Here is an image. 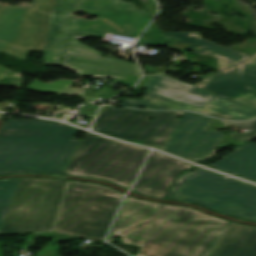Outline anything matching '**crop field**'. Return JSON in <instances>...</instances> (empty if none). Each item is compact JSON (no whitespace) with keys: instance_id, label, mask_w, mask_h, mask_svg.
Masks as SVG:
<instances>
[{"instance_id":"crop-field-4","label":"crop field","mask_w":256,"mask_h":256,"mask_svg":"<svg viewBox=\"0 0 256 256\" xmlns=\"http://www.w3.org/2000/svg\"><path fill=\"white\" fill-rule=\"evenodd\" d=\"M74 11L98 16L96 21L71 18ZM150 22L146 10L122 0H57L49 34L45 64L62 63L68 35L107 33L138 38ZM65 24V26H63Z\"/></svg>"},{"instance_id":"crop-field-21","label":"crop field","mask_w":256,"mask_h":256,"mask_svg":"<svg viewBox=\"0 0 256 256\" xmlns=\"http://www.w3.org/2000/svg\"><path fill=\"white\" fill-rule=\"evenodd\" d=\"M227 125H232V126H238V127H243L251 132L246 133V134H237V133H231L230 135L238 138L242 141H251L256 138V120L248 121L245 123H240V122H233V121H225Z\"/></svg>"},{"instance_id":"crop-field-24","label":"crop field","mask_w":256,"mask_h":256,"mask_svg":"<svg viewBox=\"0 0 256 256\" xmlns=\"http://www.w3.org/2000/svg\"><path fill=\"white\" fill-rule=\"evenodd\" d=\"M216 127L217 129H224L226 128V126L224 125L223 122L219 121V120H213L212 124L210 125V127L208 128V130H213V128Z\"/></svg>"},{"instance_id":"crop-field-25","label":"crop field","mask_w":256,"mask_h":256,"mask_svg":"<svg viewBox=\"0 0 256 256\" xmlns=\"http://www.w3.org/2000/svg\"><path fill=\"white\" fill-rule=\"evenodd\" d=\"M146 81H147V76H145L144 80L142 81V83L137 86L135 89H143V88H146ZM134 89V90H135Z\"/></svg>"},{"instance_id":"crop-field-27","label":"crop field","mask_w":256,"mask_h":256,"mask_svg":"<svg viewBox=\"0 0 256 256\" xmlns=\"http://www.w3.org/2000/svg\"><path fill=\"white\" fill-rule=\"evenodd\" d=\"M4 122H5V120L0 119V128H1V126L3 125Z\"/></svg>"},{"instance_id":"crop-field-2","label":"crop field","mask_w":256,"mask_h":256,"mask_svg":"<svg viewBox=\"0 0 256 256\" xmlns=\"http://www.w3.org/2000/svg\"><path fill=\"white\" fill-rule=\"evenodd\" d=\"M181 114L183 118L176 119ZM153 115L155 118L150 121ZM211 121L212 118L194 112L103 107L93 130L194 162L213 157L217 145L245 143L218 131H206Z\"/></svg>"},{"instance_id":"crop-field-17","label":"crop field","mask_w":256,"mask_h":256,"mask_svg":"<svg viewBox=\"0 0 256 256\" xmlns=\"http://www.w3.org/2000/svg\"><path fill=\"white\" fill-rule=\"evenodd\" d=\"M144 96V100L122 98L120 99V102H122L120 105L130 106L134 108L146 105L152 107L151 109H186L196 110L199 112L202 110L201 108L190 106L149 92H147Z\"/></svg>"},{"instance_id":"crop-field-7","label":"crop field","mask_w":256,"mask_h":256,"mask_svg":"<svg viewBox=\"0 0 256 256\" xmlns=\"http://www.w3.org/2000/svg\"><path fill=\"white\" fill-rule=\"evenodd\" d=\"M147 155L146 149L116 143L90 133L72 158L65 174L108 180L128 189Z\"/></svg>"},{"instance_id":"crop-field-5","label":"crop field","mask_w":256,"mask_h":256,"mask_svg":"<svg viewBox=\"0 0 256 256\" xmlns=\"http://www.w3.org/2000/svg\"><path fill=\"white\" fill-rule=\"evenodd\" d=\"M122 196L96 185L70 183L52 242L77 238L104 242Z\"/></svg>"},{"instance_id":"crop-field-10","label":"crop field","mask_w":256,"mask_h":256,"mask_svg":"<svg viewBox=\"0 0 256 256\" xmlns=\"http://www.w3.org/2000/svg\"><path fill=\"white\" fill-rule=\"evenodd\" d=\"M54 0L33 8L0 6V52L26 60L28 50L45 51Z\"/></svg>"},{"instance_id":"crop-field-15","label":"crop field","mask_w":256,"mask_h":256,"mask_svg":"<svg viewBox=\"0 0 256 256\" xmlns=\"http://www.w3.org/2000/svg\"><path fill=\"white\" fill-rule=\"evenodd\" d=\"M209 166L256 182V144L249 143L239 146L234 152L211 163Z\"/></svg>"},{"instance_id":"crop-field-18","label":"crop field","mask_w":256,"mask_h":256,"mask_svg":"<svg viewBox=\"0 0 256 256\" xmlns=\"http://www.w3.org/2000/svg\"><path fill=\"white\" fill-rule=\"evenodd\" d=\"M19 181L20 178L0 180V231Z\"/></svg>"},{"instance_id":"crop-field-22","label":"crop field","mask_w":256,"mask_h":256,"mask_svg":"<svg viewBox=\"0 0 256 256\" xmlns=\"http://www.w3.org/2000/svg\"><path fill=\"white\" fill-rule=\"evenodd\" d=\"M231 100L256 108V92L233 98Z\"/></svg>"},{"instance_id":"crop-field-26","label":"crop field","mask_w":256,"mask_h":256,"mask_svg":"<svg viewBox=\"0 0 256 256\" xmlns=\"http://www.w3.org/2000/svg\"><path fill=\"white\" fill-rule=\"evenodd\" d=\"M145 68H146V71H147V72H154V71L157 70V68H152V67L147 66V65H145Z\"/></svg>"},{"instance_id":"crop-field-3","label":"crop field","mask_w":256,"mask_h":256,"mask_svg":"<svg viewBox=\"0 0 256 256\" xmlns=\"http://www.w3.org/2000/svg\"><path fill=\"white\" fill-rule=\"evenodd\" d=\"M42 119L6 120L0 131V175L64 174L82 143L70 139L81 130Z\"/></svg>"},{"instance_id":"crop-field-20","label":"crop field","mask_w":256,"mask_h":256,"mask_svg":"<svg viewBox=\"0 0 256 256\" xmlns=\"http://www.w3.org/2000/svg\"><path fill=\"white\" fill-rule=\"evenodd\" d=\"M138 44L166 46L155 23L150 25V27L147 29V31L144 33V35L139 40Z\"/></svg>"},{"instance_id":"crop-field-14","label":"crop field","mask_w":256,"mask_h":256,"mask_svg":"<svg viewBox=\"0 0 256 256\" xmlns=\"http://www.w3.org/2000/svg\"><path fill=\"white\" fill-rule=\"evenodd\" d=\"M209 256H256V227L231 223Z\"/></svg>"},{"instance_id":"crop-field-13","label":"crop field","mask_w":256,"mask_h":256,"mask_svg":"<svg viewBox=\"0 0 256 256\" xmlns=\"http://www.w3.org/2000/svg\"><path fill=\"white\" fill-rule=\"evenodd\" d=\"M147 91L204 108L214 93L202 90L162 74L148 76ZM178 96L183 98L179 99Z\"/></svg>"},{"instance_id":"crop-field-12","label":"crop field","mask_w":256,"mask_h":256,"mask_svg":"<svg viewBox=\"0 0 256 256\" xmlns=\"http://www.w3.org/2000/svg\"><path fill=\"white\" fill-rule=\"evenodd\" d=\"M170 168L172 170L167 177L166 174ZM189 168L193 167L153 151L150 153L133 190L146 196L163 198L176 175L181 170Z\"/></svg>"},{"instance_id":"crop-field-19","label":"crop field","mask_w":256,"mask_h":256,"mask_svg":"<svg viewBox=\"0 0 256 256\" xmlns=\"http://www.w3.org/2000/svg\"><path fill=\"white\" fill-rule=\"evenodd\" d=\"M71 84V81L66 80H61L51 84H44L36 80L27 89L46 93L81 95L82 89L69 88Z\"/></svg>"},{"instance_id":"crop-field-1","label":"crop field","mask_w":256,"mask_h":256,"mask_svg":"<svg viewBox=\"0 0 256 256\" xmlns=\"http://www.w3.org/2000/svg\"><path fill=\"white\" fill-rule=\"evenodd\" d=\"M230 222L199 210L128 196L107 238L142 246L136 256H208Z\"/></svg>"},{"instance_id":"crop-field-8","label":"crop field","mask_w":256,"mask_h":256,"mask_svg":"<svg viewBox=\"0 0 256 256\" xmlns=\"http://www.w3.org/2000/svg\"><path fill=\"white\" fill-rule=\"evenodd\" d=\"M168 43H189L188 50L218 58L219 72L193 85L228 99L256 90V54L248 56L202 39L200 33H162Z\"/></svg>"},{"instance_id":"crop-field-16","label":"crop field","mask_w":256,"mask_h":256,"mask_svg":"<svg viewBox=\"0 0 256 256\" xmlns=\"http://www.w3.org/2000/svg\"><path fill=\"white\" fill-rule=\"evenodd\" d=\"M201 113L228 120L256 118V109L228 100L217 94L213 96Z\"/></svg>"},{"instance_id":"crop-field-9","label":"crop field","mask_w":256,"mask_h":256,"mask_svg":"<svg viewBox=\"0 0 256 256\" xmlns=\"http://www.w3.org/2000/svg\"><path fill=\"white\" fill-rule=\"evenodd\" d=\"M67 180L21 179L2 234L51 230Z\"/></svg>"},{"instance_id":"crop-field-11","label":"crop field","mask_w":256,"mask_h":256,"mask_svg":"<svg viewBox=\"0 0 256 256\" xmlns=\"http://www.w3.org/2000/svg\"><path fill=\"white\" fill-rule=\"evenodd\" d=\"M87 36H69L63 66L80 76L121 78L119 83L133 86L140 79L137 65L120 59L103 58L98 51L78 42Z\"/></svg>"},{"instance_id":"crop-field-23","label":"crop field","mask_w":256,"mask_h":256,"mask_svg":"<svg viewBox=\"0 0 256 256\" xmlns=\"http://www.w3.org/2000/svg\"><path fill=\"white\" fill-rule=\"evenodd\" d=\"M97 109H98V106L88 103L78 111L82 112L81 114L94 117Z\"/></svg>"},{"instance_id":"crop-field-6","label":"crop field","mask_w":256,"mask_h":256,"mask_svg":"<svg viewBox=\"0 0 256 256\" xmlns=\"http://www.w3.org/2000/svg\"><path fill=\"white\" fill-rule=\"evenodd\" d=\"M199 168L178 178L166 198L256 221V187Z\"/></svg>"}]
</instances>
